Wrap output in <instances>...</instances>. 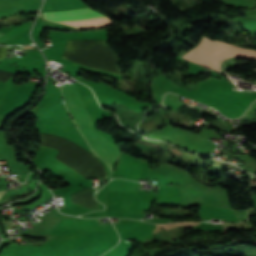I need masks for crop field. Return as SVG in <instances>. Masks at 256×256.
I'll return each instance as SVG.
<instances>
[{
    "label": "crop field",
    "instance_id": "crop-field-3",
    "mask_svg": "<svg viewBox=\"0 0 256 256\" xmlns=\"http://www.w3.org/2000/svg\"><path fill=\"white\" fill-rule=\"evenodd\" d=\"M99 219H60L55 228L116 232L111 223L98 224Z\"/></svg>",
    "mask_w": 256,
    "mask_h": 256
},
{
    "label": "crop field",
    "instance_id": "crop-field-4",
    "mask_svg": "<svg viewBox=\"0 0 256 256\" xmlns=\"http://www.w3.org/2000/svg\"><path fill=\"white\" fill-rule=\"evenodd\" d=\"M40 15L53 21H78L105 17L90 8L69 10L63 12L40 13Z\"/></svg>",
    "mask_w": 256,
    "mask_h": 256
},
{
    "label": "crop field",
    "instance_id": "crop-field-2",
    "mask_svg": "<svg viewBox=\"0 0 256 256\" xmlns=\"http://www.w3.org/2000/svg\"><path fill=\"white\" fill-rule=\"evenodd\" d=\"M234 56L256 59V51L240 49L224 42L209 41L204 38L198 46L183 58L220 71L221 61Z\"/></svg>",
    "mask_w": 256,
    "mask_h": 256
},
{
    "label": "crop field",
    "instance_id": "crop-field-5",
    "mask_svg": "<svg viewBox=\"0 0 256 256\" xmlns=\"http://www.w3.org/2000/svg\"><path fill=\"white\" fill-rule=\"evenodd\" d=\"M134 243L120 242L115 248L102 256H127Z\"/></svg>",
    "mask_w": 256,
    "mask_h": 256
},
{
    "label": "crop field",
    "instance_id": "crop-field-6",
    "mask_svg": "<svg viewBox=\"0 0 256 256\" xmlns=\"http://www.w3.org/2000/svg\"><path fill=\"white\" fill-rule=\"evenodd\" d=\"M30 25H31V22L28 21V22H26V23H24V24H22V25H20V26H18L16 28H14L13 30H11L7 34H5L2 37H0V44L5 42L7 39H9V38H11V37H13V36L23 32V31L29 29Z\"/></svg>",
    "mask_w": 256,
    "mask_h": 256
},
{
    "label": "crop field",
    "instance_id": "crop-field-1",
    "mask_svg": "<svg viewBox=\"0 0 256 256\" xmlns=\"http://www.w3.org/2000/svg\"><path fill=\"white\" fill-rule=\"evenodd\" d=\"M62 92L67 109L74 117L78 129L85 136L92 150L108 164L112 172L121 150L94 130L74 84L62 85Z\"/></svg>",
    "mask_w": 256,
    "mask_h": 256
},
{
    "label": "crop field",
    "instance_id": "crop-field-8",
    "mask_svg": "<svg viewBox=\"0 0 256 256\" xmlns=\"http://www.w3.org/2000/svg\"><path fill=\"white\" fill-rule=\"evenodd\" d=\"M2 33H0V35H1Z\"/></svg>",
    "mask_w": 256,
    "mask_h": 256
},
{
    "label": "crop field",
    "instance_id": "crop-field-7",
    "mask_svg": "<svg viewBox=\"0 0 256 256\" xmlns=\"http://www.w3.org/2000/svg\"><path fill=\"white\" fill-rule=\"evenodd\" d=\"M3 193H4V192H0V197L2 196Z\"/></svg>",
    "mask_w": 256,
    "mask_h": 256
}]
</instances>
